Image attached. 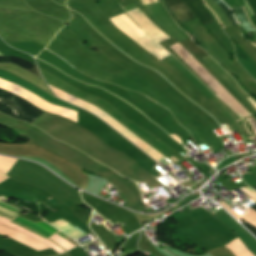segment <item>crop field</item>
<instances>
[{"label": "crop field", "instance_id": "crop-field-5", "mask_svg": "<svg viewBox=\"0 0 256 256\" xmlns=\"http://www.w3.org/2000/svg\"><path fill=\"white\" fill-rule=\"evenodd\" d=\"M243 9H244V7H243ZM232 10H233L239 24L243 27V29L246 32L254 31L255 28L253 29L252 26H251L252 24L251 25L249 24V22H248V20H247V18H246V16H245L241 7L235 8V9H232ZM244 11H245V9H244ZM245 13H246V11H245ZM246 15H247V13H246ZM247 17H248V15H247ZM248 19H249V17H248ZM249 21H250V19H249Z\"/></svg>", "mask_w": 256, "mask_h": 256}, {"label": "crop field", "instance_id": "crop-field-7", "mask_svg": "<svg viewBox=\"0 0 256 256\" xmlns=\"http://www.w3.org/2000/svg\"><path fill=\"white\" fill-rule=\"evenodd\" d=\"M256 210V204L254 206H251ZM244 227H246L251 233H253L256 236V227L249 224L248 222H243L242 223Z\"/></svg>", "mask_w": 256, "mask_h": 256}, {"label": "crop field", "instance_id": "crop-field-6", "mask_svg": "<svg viewBox=\"0 0 256 256\" xmlns=\"http://www.w3.org/2000/svg\"><path fill=\"white\" fill-rule=\"evenodd\" d=\"M203 1H204V0H203ZM204 2H205V1H204ZM206 2H207V4H208V6H209V7L216 13V15L219 17L221 23H222L225 27L229 26L230 23H229V21L227 20L226 16H225V15L223 14V12L214 4V2H213L212 0H206ZM205 4H206V3H205ZM208 6H207V7H208ZM209 7H208V8H209ZM213 11H212V12H213ZM214 12H213V13H214ZM215 13H214V14H215ZM216 15H215V16H216ZM217 16H216V17H217ZM217 19H218V18H217ZM218 21H219V20H218ZM220 21H219V22H220ZM221 23H220V24H221ZM222 24H221V25H222ZM223 25H222V26H223ZM224 26H223V28H225Z\"/></svg>", "mask_w": 256, "mask_h": 256}, {"label": "crop field", "instance_id": "crop-field-3", "mask_svg": "<svg viewBox=\"0 0 256 256\" xmlns=\"http://www.w3.org/2000/svg\"><path fill=\"white\" fill-rule=\"evenodd\" d=\"M165 2L181 22L194 17L186 5L183 4L182 0H165Z\"/></svg>", "mask_w": 256, "mask_h": 256}, {"label": "crop field", "instance_id": "crop-field-2", "mask_svg": "<svg viewBox=\"0 0 256 256\" xmlns=\"http://www.w3.org/2000/svg\"><path fill=\"white\" fill-rule=\"evenodd\" d=\"M191 12L202 22L203 25L214 22L211 15L200 4L199 0H183Z\"/></svg>", "mask_w": 256, "mask_h": 256}, {"label": "crop field", "instance_id": "crop-field-4", "mask_svg": "<svg viewBox=\"0 0 256 256\" xmlns=\"http://www.w3.org/2000/svg\"><path fill=\"white\" fill-rule=\"evenodd\" d=\"M0 62L13 63V64L20 66L21 68L27 70L28 72L34 74L35 76L41 78L37 67L21 58L12 57V56H0Z\"/></svg>", "mask_w": 256, "mask_h": 256}, {"label": "crop field", "instance_id": "crop-field-11", "mask_svg": "<svg viewBox=\"0 0 256 256\" xmlns=\"http://www.w3.org/2000/svg\"><path fill=\"white\" fill-rule=\"evenodd\" d=\"M253 177V176H252ZM254 178V177H253ZM255 179V178H254ZM256 180V179H255Z\"/></svg>", "mask_w": 256, "mask_h": 256}, {"label": "crop field", "instance_id": "crop-field-10", "mask_svg": "<svg viewBox=\"0 0 256 256\" xmlns=\"http://www.w3.org/2000/svg\"><path fill=\"white\" fill-rule=\"evenodd\" d=\"M254 35L256 36V32L254 33Z\"/></svg>", "mask_w": 256, "mask_h": 256}, {"label": "crop field", "instance_id": "crop-field-8", "mask_svg": "<svg viewBox=\"0 0 256 256\" xmlns=\"http://www.w3.org/2000/svg\"><path fill=\"white\" fill-rule=\"evenodd\" d=\"M249 6L251 7L254 16H256V0H247Z\"/></svg>", "mask_w": 256, "mask_h": 256}, {"label": "crop field", "instance_id": "crop-field-1", "mask_svg": "<svg viewBox=\"0 0 256 256\" xmlns=\"http://www.w3.org/2000/svg\"><path fill=\"white\" fill-rule=\"evenodd\" d=\"M43 111L3 89H0V113L33 124Z\"/></svg>", "mask_w": 256, "mask_h": 256}, {"label": "crop field", "instance_id": "crop-field-12", "mask_svg": "<svg viewBox=\"0 0 256 256\" xmlns=\"http://www.w3.org/2000/svg\"><path fill=\"white\" fill-rule=\"evenodd\" d=\"M253 199V198H252Z\"/></svg>", "mask_w": 256, "mask_h": 256}, {"label": "crop field", "instance_id": "crop-field-9", "mask_svg": "<svg viewBox=\"0 0 256 256\" xmlns=\"http://www.w3.org/2000/svg\"><path fill=\"white\" fill-rule=\"evenodd\" d=\"M252 188L256 190V186H255V187H252Z\"/></svg>", "mask_w": 256, "mask_h": 256}]
</instances>
